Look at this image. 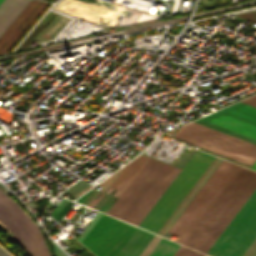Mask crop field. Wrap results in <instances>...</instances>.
<instances>
[{
  "label": "crop field",
  "instance_id": "1",
  "mask_svg": "<svg viewBox=\"0 0 256 256\" xmlns=\"http://www.w3.org/2000/svg\"><path fill=\"white\" fill-rule=\"evenodd\" d=\"M179 171L149 158L107 214L138 226Z\"/></svg>",
  "mask_w": 256,
  "mask_h": 256
},
{
  "label": "crop field",
  "instance_id": "2",
  "mask_svg": "<svg viewBox=\"0 0 256 256\" xmlns=\"http://www.w3.org/2000/svg\"><path fill=\"white\" fill-rule=\"evenodd\" d=\"M255 188L256 172L241 167L183 244L205 253Z\"/></svg>",
  "mask_w": 256,
  "mask_h": 256
},
{
  "label": "crop field",
  "instance_id": "3",
  "mask_svg": "<svg viewBox=\"0 0 256 256\" xmlns=\"http://www.w3.org/2000/svg\"><path fill=\"white\" fill-rule=\"evenodd\" d=\"M213 158L214 156L196 150L139 227L156 233Z\"/></svg>",
  "mask_w": 256,
  "mask_h": 256
},
{
  "label": "crop field",
  "instance_id": "4",
  "mask_svg": "<svg viewBox=\"0 0 256 256\" xmlns=\"http://www.w3.org/2000/svg\"><path fill=\"white\" fill-rule=\"evenodd\" d=\"M240 166L222 160L168 232L178 236L176 242L182 243L207 209L215 201L225 186L239 170Z\"/></svg>",
  "mask_w": 256,
  "mask_h": 256
},
{
  "label": "crop field",
  "instance_id": "5",
  "mask_svg": "<svg viewBox=\"0 0 256 256\" xmlns=\"http://www.w3.org/2000/svg\"><path fill=\"white\" fill-rule=\"evenodd\" d=\"M256 238V189L207 250L211 256H242Z\"/></svg>",
  "mask_w": 256,
  "mask_h": 256
},
{
  "label": "crop field",
  "instance_id": "6",
  "mask_svg": "<svg viewBox=\"0 0 256 256\" xmlns=\"http://www.w3.org/2000/svg\"><path fill=\"white\" fill-rule=\"evenodd\" d=\"M0 221L13 233L10 237L28 256H52L36 222L16 201L1 191Z\"/></svg>",
  "mask_w": 256,
  "mask_h": 256
},
{
  "label": "crop field",
  "instance_id": "7",
  "mask_svg": "<svg viewBox=\"0 0 256 256\" xmlns=\"http://www.w3.org/2000/svg\"><path fill=\"white\" fill-rule=\"evenodd\" d=\"M179 131H182L184 133L190 134L192 136L198 137L200 139L206 140L208 142L217 144L219 146L225 147L227 149L233 150L235 152L256 159L255 145L220 133L218 131L212 130L210 128L204 127L202 125L196 124L194 122L181 126L179 128ZM179 131L175 133L174 138L201 147L203 149L212 151L214 153L220 154L222 156L228 157L230 159L236 160L249 166H251V164L255 161L254 159H251L249 157L216 146L214 144L208 143L206 141L200 140L198 138L192 137Z\"/></svg>",
  "mask_w": 256,
  "mask_h": 256
},
{
  "label": "crop field",
  "instance_id": "8",
  "mask_svg": "<svg viewBox=\"0 0 256 256\" xmlns=\"http://www.w3.org/2000/svg\"><path fill=\"white\" fill-rule=\"evenodd\" d=\"M134 229L103 214L81 243L96 256H114Z\"/></svg>",
  "mask_w": 256,
  "mask_h": 256
},
{
  "label": "crop field",
  "instance_id": "9",
  "mask_svg": "<svg viewBox=\"0 0 256 256\" xmlns=\"http://www.w3.org/2000/svg\"><path fill=\"white\" fill-rule=\"evenodd\" d=\"M201 119L256 139V108L244 103L238 102Z\"/></svg>",
  "mask_w": 256,
  "mask_h": 256
},
{
  "label": "crop field",
  "instance_id": "10",
  "mask_svg": "<svg viewBox=\"0 0 256 256\" xmlns=\"http://www.w3.org/2000/svg\"><path fill=\"white\" fill-rule=\"evenodd\" d=\"M48 3L31 0L0 36V54L6 53Z\"/></svg>",
  "mask_w": 256,
  "mask_h": 256
},
{
  "label": "crop field",
  "instance_id": "11",
  "mask_svg": "<svg viewBox=\"0 0 256 256\" xmlns=\"http://www.w3.org/2000/svg\"><path fill=\"white\" fill-rule=\"evenodd\" d=\"M152 236L153 234L136 228L115 256H138Z\"/></svg>",
  "mask_w": 256,
  "mask_h": 256
},
{
  "label": "crop field",
  "instance_id": "12",
  "mask_svg": "<svg viewBox=\"0 0 256 256\" xmlns=\"http://www.w3.org/2000/svg\"><path fill=\"white\" fill-rule=\"evenodd\" d=\"M30 0H4L0 5V35Z\"/></svg>",
  "mask_w": 256,
  "mask_h": 256
},
{
  "label": "crop field",
  "instance_id": "13",
  "mask_svg": "<svg viewBox=\"0 0 256 256\" xmlns=\"http://www.w3.org/2000/svg\"><path fill=\"white\" fill-rule=\"evenodd\" d=\"M147 157L141 155L129 165H127L124 170L120 173V175L115 179V181L111 184V186L107 189L106 193L111 189L117 190L114 196L118 197L122 190L126 187L132 177L136 174L139 168L146 161Z\"/></svg>",
  "mask_w": 256,
  "mask_h": 256
},
{
  "label": "crop field",
  "instance_id": "14",
  "mask_svg": "<svg viewBox=\"0 0 256 256\" xmlns=\"http://www.w3.org/2000/svg\"><path fill=\"white\" fill-rule=\"evenodd\" d=\"M179 244L162 238L149 256H172Z\"/></svg>",
  "mask_w": 256,
  "mask_h": 256
},
{
  "label": "crop field",
  "instance_id": "15",
  "mask_svg": "<svg viewBox=\"0 0 256 256\" xmlns=\"http://www.w3.org/2000/svg\"><path fill=\"white\" fill-rule=\"evenodd\" d=\"M173 256H203V254L180 245Z\"/></svg>",
  "mask_w": 256,
  "mask_h": 256
},
{
  "label": "crop field",
  "instance_id": "16",
  "mask_svg": "<svg viewBox=\"0 0 256 256\" xmlns=\"http://www.w3.org/2000/svg\"><path fill=\"white\" fill-rule=\"evenodd\" d=\"M101 215H102V213H99V212L96 213V215L93 217V219L89 222V224L86 226V228L82 231V233L77 238L80 242L86 236V234L90 231V229L93 227V225L97 222V220L101 217Z\"/></svg>",
  "mask_w": 256,
  "mask_h": 256
},
{
  "label": "crop field",
  "instance_id": "17",
  "mask_svg": "<svg viewBox=\"0 0 256 256\" xmlns=\"http://www.w3.org/2000/svg\"><path fill=\"white\" fill-rule=\"evenodd\" d=\"M243 256H256V239L247 249Z\"/></svg>",
  "mask_w": 256,
  "mask_h": 256
},
{
  "label": "crop field",
  "instance_id": "18",
  "mask_svg": "<svg viewBox=\"0 0 256 256\" xmlns=\"http://www.w3.org/2000/svg\"><path fill=\"white\" fill-rule=\"evenodd\" d=\"M103 193L98 192L97 195L93 198V200L89 203L88 207L93 208L94 205L98 202V200L102 197Z\"/></svg>",
  "mask_w": 256,
  "mask_h": 256
},
{
  "label": "crop field",
  "instance_id": "19",
  "mask_svg": "<svg viewBox=\"0 0 256 256\" xmlns=\"http://www.w3.org/2000/svg\"><path fill=\"white\" fill-rule=\"evenodd\" d=\"M254 96H256V95H254ZM254 96H252V97H254ZM252 97H250V98H252ZM250 98H248V99H250ZM248 99H245V100H243V101H241V102H244V103H246V104H249V105H252V106L256 107V104H253V103H256V97H254V98H252V99H250V100H248ZM246 100L251 101V102H253V103L248 102V101H246Z\"/></svg>",
  "mask_w": 256,
  "mask_h": 256
},
{
  "label": "crop field",
  "instance_id": "20",
  "mask_svg": "<svg viewBox=\"0 0 256 256\" xmlns=\"http://www.w3.org/2000/svg\"><path fill=\"white\" fill-rule=\"evenodd\" d=\"M51 244L56 252V256H65L52 242H51Z\"/></svg>",
  "mask_w": 256,
  "mask_h": 256
},
{
  "label": "crop field",
  "instance_id": "21",
  "mask_svg": "<svg viewBox=\"0 0 256 256\" xmlns=\"http://www.w3.org/2000/svg\"><path fill=\"white\" fill-rule=\"evenodd\" d=\"M0 256H10L9 254H7L4 250H2L0 248Z\"/></svg>",
  "mask_w": 256,
  "mask_h": 256
},
{
  "label": "crop field",
  "instance_id": "22",
  "mask_svg": "<svg viewBox=\"0 0 256 256\" xmlns=\"http://www.w3.org/2000/svg\"><path fill=\"white\" fill-rule=\"evenodd\" d=\"M251 169L256 170V162L252 165Z\"/></svg>",
  "mask_w": 256,
  "mask_h": 256
},
{
  "label": "crop field",
  "instance_id": "23",
  "mask_svg": "<svg viewBox=\"0 0 256 256\" xmlns=\"http://www.w3.org/2000/svg\"><path fill=\"white\" fill-rule=\"evenodd\" d=\"M3 0H0V3L2 2Z\"/></svg>",
  "mask_w": 256,
  "mask_h": 256
},
{
  "label": "crop field",
  "instance_id": "24",
  "mask_svg": "<svg viewBox=\"0 0 256 256\" xmlns=\"http://www.w3.org/2000/svg\"><path fill=\"white\" fill-rule=\"evenodd\" d=\"M204 256H206V255H204Z\"/></svg>",
  "mask_w": 256,
  "mask_h": 256
}]
</instances>
